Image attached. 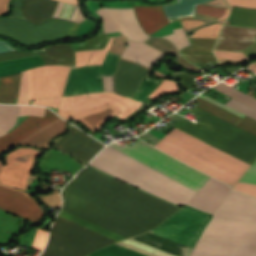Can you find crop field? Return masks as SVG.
I'll use <instances>...</instances> for the list:
<instances>
[{
  "label": "crop field",
  "instance_id": "obj_1",
  "mask_svg": "<svg viewBox=\"0 0 256 256\" xmlns=\"http://www.w3.org/2000/svg\"><path fill=\"white\" fill-rule=\"evenodd\" d=\"M62 196V210L126 238L156 227L178 209L87 167Z\"/></svg>",
  "mask_w": 256,
  "mask_h": 256
},
{
  "label": "crop field",
  "instance_id": "obj_2",
  "mask_svg": "<svg viewBox=\"0 0 256 256\" xmlns=\"http://www.w3.org/2000/svg\"><path fill=\"white\" fill-rule=\"evenodd\" d=\"M89 165L174 204H187L196 193L109 146Z\"/></svg>",
  "mask_w": 256,
  "mask_h": 256
},
{
  "label": "crop field",
  "instance_id": "obj_3",
  "mask_svg": "<svg viewBox=\"0 0 256 256\" xmlns=\"http://www.w3.org/2000/svg\"><path fill=\"white\" fill-rule=\"evenodd\" d=\"M167 154L191 165L211 146L177 129L155 145ZM191 166L227 184H235L250 165L212 147ZM241 178V177H240Z\"/></svg>",
  "mask_w": 256,
  "mask_h": 256
},
{
  "label": "crop field",
  "instance_id": "obj_4",
  "mask_svg": "<svg viewBox=\"0 0 256 256\" xmlns=\"http://www.w3.org/2000/svg\"><path fill=\"white\" fill-rule=\"evenodd\" d=\"M190 112L198 116V123L194 124L182 117L172 126L252 165L256 159V136L197 107Z\"/></svg>",
  "mask_w": 256,
  "mask_h": 256
},
{
  "label": "crop field",
  "instance_id": "obj_5",
  "mask_svg": "<svg viewBox=\"0 0 256 256\" xmlns=\"http://www.w3.org/2000/svg\"><path fill=\"white\" fill-rule=\"evenodd\" d=\"M201 237L256 241V199L230 191Z\"/></svg>",
  "mask_w": 256,
  "mask_h": 256
},
{
  "label": "crop field",
  "instance_id": "obj_6",
  "mask_svg": "<svg viewBox=\"0 0 256 256\" xmlns=\"http://www.w3.org/2000/svg\"><path fill=\"white\" fill-rule=\"evenodd\" d=\"M58 118L46 108L44 117L28 116L11 132L0 137V151L19 143ZM0 208L29 220L38 221L43 217V211L30 195L4 185H0Z\"/></svg>",
  "mask_w": 256,
  "mask_h": 256
},
{
  "label": "crop field",
  "instance_id": "obj_7",
  "mask_svg": "<svg viewBox=\"0 0 256 256\" xmlns=\"http://www.w3.org/2000/svg\"><path fill=\"white\" fill-rule=\"evenodd\" d=\"M114 242L117 241L57 216L40 256H85Z\"/></svg>",
  "mask_w": 256,
  "mask_h": 256
},
{
  "label": "crop field",
  "instance_id": "obj_8",
  "mask_svg": "<svg viewBox=\"0 0 256 256\" xmlns=\"http://www.w3.org/2000/svg\"><path fill=\"white\" fill-rule=\"evenodd\" d=\"M109 146L153 167L171 178L185 166V164L152 148L153 146H149L140 139L131 147L127 144L121 148L114 143H111ZM208 177L209 176L186 165L172 179L198 191Z\"/></svg>",
  "mask_w": 256,
  "mask_h": 256
},
{
  "label": "crop field",
  "instance_id": "obj_9",
  "mask_svg": "<svg viewBox=\"0 0 256 256\" xmlns=\"http://www.w3.org/2000/svg\"><path fill=\"white\" fill-rule=\"evenodd\" d=\"M79 24L62 19H49L32 25L24 19L0 18V33H5L23 44H37L49 39L74 37Z\"/></svg>",
  "mask_w": 256,
  "mask_h": 256
},
{
  "label": "crop field",
  "instance_id": "obj_10",
  "mask_svg": "<svg viewBox=\"0 0 256 256\" xmlns=\"http://www.w3.org/2000/svg\"><path fill=\"white\" fill-rule=\"evenodd\" d=\"M209 217L188 207H182L157 228L149 232L191 248Z\"/></svg>",
  "mask_w": 256,
  "mask_h": 256
},
{
  "label": "crop field",
  "instance_id": "obj_11",
  "mask_svg": "<svg viewBox=\"0 0 256 256\" xmlns=\"http://www.w3.org/2000/svg\"><path fill=\"white\" fill-rule=\"evenodd\" d=\"M208 0H177V4L161 6L166 15L179 13L183 11L193 10L196 4H202ZM136 15L140 21L142 27L148 34H153L158 29L162 28L169 22L184 19L193 18L195 10L183 12L179 14L166 16L160 6L157 7H139L134 6Z\"/></svg>",
  "mask_w": 256,
  "mask_h": 256
},
{
  "label": "crop field",
  "instance_id": "obj_12",
  "mask_svg": "<svg viewBox=\"0 0 256 256\" xmlns=\"http://www.w3.org/2000/svg\"><path fill=\"white\" fill-rule=\"evenodd\" d=\"M69 68L62 65H50L29 69V99L60 96Z\"/></svg>",
  "mask_w": 256,
  "mask_h": 256
},
{
  "label": "crop field",
  "instance_id": "obj_13",
  "mask_svg": "<svg viewBox=\"0 0 256 256\" xmlns=\"http://www.w3.org/2000/svg\"><path fill=\"white\" fill-rule=\"evenodd\" d=\"M107 102L122 112L117 116L123 119L138 109L141 105L140 102L118 96L117 94L90 93L64 97L61 99L59 108L64 111L87 110L101 106Z\"/></svg>",
  "mask_w": 256,
  "mask_h": 256
},
{
  "label": "crop field",
  "instance_id": "obj_14",
  "mask_svg": "<svg viewBox=\"0 0 256 256\" xmlns=\"http://www.w3.org/2000/svg\"><path fill=\"white\" fill-rule=\"evenodd\" d=\"M110 43L111 39L105 50H95L88 65L103 61ZM102 63L72 69L63 96L103 91L101 76H97Z\"/></svg>",
  "mask_w": 256,
  "mask_h": 256
},
{
  "label": "crop field",
  "instance_id": "obj_15",
  "mask_svg": "<svg viewBox=\"0 0 256 256\" xmlns=\"http://www.w3.org/2000/svg\"><path fill=\"white\" fill-rule=\"evenodd\" d=\"M54 0H24L20 9L22 15L33 23H41L50 18L54 11ZM52 17L66 18L80 23L84 17L77 6L58 2Z\"/></svg>",
  "mask_w": 256,
  "mask_h": 256
},
{
  "label": "crop field",
  "instance_id": "obj_16",
  "mask_svg": "<svg viewBox=\"0 0 256 256\" xmlns=\"http://www.w3.org/2000/svg\"><path fill=\"white\" fill-rule=\"evenodd\" d=\"M229 4L256 8V0H227ZM256 43V28L223 25L214 49L240 52Z\"/></svg>",
  "mask_w": 256,
  "mask_h": 256
},
{
  "label": "crop field",
  "instance_id": "obj_17",
  "mask_svg": "<svg viewBox=\"0 0 256 256\" xmlns=\"http://www.w3.org/2000/svg\"><path fill=\"white\" fill-rule=\"evenodd\" d=\"M103 19L104 33L120 32L129 40L143 41L149 36L139 26L134 9L102 8L96 11Z\"/></svg>",
  "mask_w": 256,
  "mask_h": 256
},
{
  "label": "crop field",
  "instance_id": "obj_18",
  "mask_svg": "<svg viewBox=\"0 0 256 256\" xmlns=\"http://www.w3.org/2000/svg\"><path fill=\"white\" fill-rule=\"evenodd\" d=\"M38 151L18 149L6 156V163L0 173V182L25 189L33 161Z\"/></svg>",
  "mask_w": 256,
  "mask_h": 256
},
{
  "label": "crop field",
  "instance_id": "obj_19",
  "mask_svg": "<svg viewBox=\"0 0 256 256\" xmlns=\"http://www.w3.org/2000/svg\"><path fill=\"white\" fill-rule=\"evenodd\" d=\"M91 139L93 138L74 127L68 135L60 140L55 148L70 153L87 163L104 147L103 144L97 141L91 142Z\"/></svg>",
  "mask_w": 256,
  "mask_h": 256
},
{
  "label": "crop field",
  "instance_id": "obj_20",
  "mask_svg": "<svg viewBox=\"0 0 256 256\" xmlns=\"http://www.w3.org/2000/svg\"><path fill=\"white\" fill-rule=\"evenodd\" d=\"M230 189L228 185L210 177L188 205L212 214Z\"/></svg>",
  "mask_w": 256,
  "mask_h": 256
},
{
  "label": "crop field",
  "instance_id": "obj_21",
  "mask_svg": "<svg viewBox=\"0 0 256 256\" xmlns=\"http://www.w3.org/2000/svg\"><path fill=\"white\" fill-rule=\"evenodd\" d=\"M147 73L148 70L140 66L120 60L115 75L117 91L132 98L138 87L139 81L144 78Z\"/></svg>",
  "mask_w": 256,
  "mask_h": 256
},
{
  "label": "crop field",
  "instance_id": "obj_22",
  "mask_svg": "<svg viewBox=\"0 0 256 256\" xmlns=\"http://www.w3.org/2000/svg\"><path fill=\"white\" fill-rule=\"evenodd\" d=\"M191 45L180 54L196 66H215L218 61L212 52L217 39L189 38Z\"/></svg>",
  "mask_w": 256,
  "mask_h": 256
},
{
  "label": "crop field",
  "instance_id": "obj_23",
  "mask_svg": "<svg viewBox=\"0 0 256 256\" xmlns=\"http://www.w3.org/2000/svg\"><path fill=\"white\" fill-rule=\"evenodd\" d=\"M223 240L201 239L196 249L222 251ZM247 242L226 240L224 251L246 253ZM193 254V253H192ZM193 256H221V253L195 251ZM224 256H246L224 253ZM249 256H256V243H251Z\"/></svg>",
  "mask_w": 256,
  "mask_h": 256
},
{
  "label": "crop field",
  "instance_id": "obj_24",
  "mask_svg": "<svg viewBox=\"0 0 256 256\" xmlns=\"http://www.w3.org/2000/svg\"><path fill=\"white\" fill-rule=\"evenodd\" d=\"M57 112L67 119L80 120L93 131L97 130L105 120L120 113L108 103L88 111L64 112L58 109Z\"/></svg>",
  "mask_w": 256,
  "mask_h": 256
},
{
  "label": "crop field",
  "instance_id": "obj_25",
  "mask_svg": "<svg viewBox=\"0 0 256 256\" xmlns=\"http://www.w3.org/2000/svg\"><path fill=\"white\" fill-rule=\"evenodd\" d=\"M38 54L44 65L63 64L75 67V56L70 44H59L32 51Z\"/></svg>",
  "mask_w": 256,
  "mask_h": 256
},
{
  "label": "crop field",
  "instance_id": "obj_26",
  "mask_svg": "<svg viewBox=\"0 0 256 256\" xmlns=\"http://www.w3.org/2000/svg\"><path fill=\"white\" fill-rule=\"evenodd\" d=\"M193 101L197 102L195 106L202 108L254 135H256V121L245 116L243 119L197 97Z\"/></svg>",
  "mask_w": 256,
  "mask_h": 256
},
{
  "label": "crop field",
  "instance_id": "obj_27",
  "mask_svg": "<svg viewBox=\"0 0 256 256\" xmlns=\"http://www.w3.org/2000/svg\"><path fill=\"white\" fill-rule=\"evenodd\" d=\"M127 44L128 46L124 51L122 58L137 61L150 68L162 55H164V53L152 48L144 42L135 43L127 40Z\"/></svg>",
  "mask_w": 256,
  "mask_h": 256
},
{
  "label": "crop field",
  "instance_id": "obj_28",
  "mask_svg": "<svg viewBox=\"0 0 256 256\" xmlns=\"http://www.w3.org/2000/svg\"><path fill=\"white\" fill-rule=\"evenodd\" d=\"M136 241L153 246L177 256H187L190 248L179 245L171 240L146 232L132 237Z\"/></svg>",
  "mask_w": 256,
  "mask_h": 256
},
{
  "label": "crop field",
  "instance_id": "obj_29",
  "mask_svg": "<svg viewBox=\"0 0 256 256\" xmlns=\"http://www.w3.org/2000/svg\"><path fill=\"white\" fill-rule=\"evenodd\" d=\"M65 123V121L59 118L57 121L34 133L20 144H31L43 147L49 142L52 136L64 131Z\"/></svg>",
  "mask_w": 256,
  "mask_h": 256
},
{
  "label": "crop field",
  "instance_id": "obj_30",
  "mask_svg": "<svg viewBox=\"0 0 256 256\" xmlns=\"http://www.w3.org/2000/svg\"><path fill=\"white\" fill-rule=\"evenodd\" d=\"M20 73L0 78V103H13L18 96Z\"/></svg>",
  "mask_w": 256,
  "mask_h": 256
},
{
  "label": "crop field",
  "instance_id": "obj_31",
  "mask_svg": "<svg viewBox=\"0 0 256 256\" xmlns=\"http://www.w3.org/2000/svg\"><path fill=\"white\" fill-rule=\"evenodd\" d=\"M150 45H152L153 47L165 52V53H172L174 55H176L177 58V62L180 63L182 66H184L185 68H187L188 70H190L191 72H199L200 70L196 67H194L193 65L189 64L188 62H186L178 53L176 47L161 38H154L151 37L148 40L144 41Z\"/></svg>",
  "mask_w": 256,
  "mask_h": 256
},
{
  "label": "crop field",
  "instance_id": "obj_32",
  "mask_svg": "<svg viewBox=\"0 0 256 256\" xmlns=\"http://www.w3.org/2000/svg\"><path fill=\"white\" fill-rule=\"evenodd\" d=\"M230 24L237 26L256 27V9H246L234 6L230 19Z\"/></svg>",
  "mask_w": 256,
  "mask_h": 256
},
{
  "label": "crop field",
  "instance_id": "obj_33",
  "mask_svg": "<svg viewBox=\"0 0 256 256\" xmlns=\"http://www.w3.org/2000/svg\"><path fill=\"white\" fill-rule=\"evenodd\" d=\"M17 116H20V106L0 105V125L6 132L15 125Z\"/></svg>",
  "mask_w": 256,
  "mask_h": 256
},
{
  "label": "crop field",
  "instance_id": "obj_34",
  "mask_svg": "<svg viewBox=\"0 0 256 256\" xmlns=\"http://www.w3.org/2000/svg\"><path fill=\"white\" fill-rule=\"evenodd\" d=\"M88 256H146L120 245L114 244L91 253Z\"/></svg>",
  "mask_w": 256,
  "mask_h": 256
},
{
  "label": "crop field",
  "instance_id": "obj_35",
  "mask_svg": "<svg viewBox=\"0 0 256 256\" xmlns=\"http://www.w3.org/2000/svg\"><path fill=\"white\" fill-rule=\"evenodd\" d=\"M59 216H62V217H64V218H67V219H70V220H72V221H75V222H77V223H79V224H81V225H83V226H85V227H87V228H89V229H92V230H94V231H96V232H99V233H101V234H103V235H106V236H108V237H110V238H113V239H115V240H117V241H120V240H122V239H125L124 237H122V236H120V235H117V234H115V233H113V232H110V231H108V230H106V229H104V228H101V227H99V226H97V225H95V224H93V223H91V222H88V221H86V220H83V219H81V218H79V217H76V216H74V215H71V214H69V213H67V212H64V211H60V213H59Z\"/></svg>",
  "mask_w": 256,
  "mask_h": 256
},
{
  "label": "crop field",
  "instance_id": "obj_36",
  "mask_svg": "<svg viewBox=\"0 0 256 256\" xmlns=\"http://www.w3.org/2000/svg\"><path fill=\"white\" fill-rule=\"evenodd\" d=\"M213 88L256 109V99L240 92L237 89L231 88L222 82Z\"/></svg>",
  "mask_w": 256,
  "mask_h": 256
},
{
  "label": "crop field",
  "instance_id": "obj_37",
  "mask_svg": "<svg viewBox=\"0 0 256 256\" xmlns=\"http://www.w3.org/2000/svg\"><path fill=\"white\" fill-rule=\"evenodd\" d=\"M117 244H120L122 246L131 248L133 250L139 251L141 253H144L150 256H173L171 254L165 253L163 251H160L155 248L149 247L147 245L141 244L139 242L133 241L131 239L124 240Z\"/></svg>",
  "mask_w": 256,
  "mask_h": 256
},
{
  "label": "crop field",
  "instance_id": "obj_38",
  "mask_svg": "<svg viewBox=\"0 0 256 256\" xmlns=\"http://www.w3.org/2000/svg\"><path fill=\"white\" fill-rule=\"evenodd\" d=\"M162 80L151 79L149 75H147L140 83V88L134 95V99L139 101H144L147 96H149L153 90L160 84Z\"/></svg>",
  "mask_w": 256,
  "mask_h": 256
},
{
  "label": "crop field",
  "instance_id": "obj_39",
  "mask_svg": "<svg viewBox=\"0 0 256 256\" xmlns=\"http://www.w3.org/2000/svg\"><path fill=\"white\" fill-rule=\"evenodd\" d=\"M108 40H109V37H107L106 35L100 32L96 37H94L90 41L79 43V44L73 45L72 47L74 51L89 50V49H104Z\"/></svg>",
  "mask_w": 256,
  "mask_h": 256
},
{
  "label": "crop field",
  "instance_id": "obj_40",
  "mask_svg": "<svg viewBox=\"0 0 256 256\" xmlns=\"http://www.w3.org/2000/svg\"><path fill=\"white\" fill-rule=\"evenodd\" d=\"M221 24H213L206 27H203L194 32L193 35L188 37H203V38H217Z\"/></svg>",
  "mask_w": 256,
  "mask_h": 256
},
{
  "label": "crop field",
  "instance_id": "obj_41",
  "mask_svg": "<svg viewBox=\"0 0 256 256\" xmlns=\"http://www.w3.org/2000/svg\"><path fill=\"white\" fill-rule=\"evenodd\" d=\"M119 59L118 55L107 54L103 66L100 70L99 75H110L113 76L115 68L117 66V61Z\"/></svg>",
  "mask_w": 256,
  "mask_h": 256
},
{
  "label": "crop field",
  "instance_id": "obj_42",
  "mask_svg": "<svg viewBox=\"0 0 256 256\" xmlns=\"http://www.w3.org/2000/svg\"><path fill=\"white\" fill-rule=\"evenodd\" d=\"M174 33L163 38L171 40L177 46L178 50L190 44L182 28L175 30Z\"/></svg>",
  "mask_w": 256,
  "mask_h": 256
},
{
  "label": "crop field",
  "instance_id": "obj_43",
  "mask_svg": "<svg viewBox=\"0 0 256 256\" xmlns=\"http://www.w3.org/2000/svg\"><path fill=\"white\" fill-rule=\"evenodd\" d=\"M226 105L256 120V110L252 109L251 107L234 99H231L229 102L226 103Z\"/></svg>",
  "mask_w": 256,
  "mask_h": 256
},
{
  "label": "crop field",
  "instance_id": "obj_44",
  "mask_svg": "<svg viewBox=\"0 0 256 256\" xmlns=\"http://www.w3.org/2000/svg\"><path fill=\"white\" fill-rule=\"evenodd\" d=\"M17 104H28L27 70L22 72Z\"/></svg>",
  "mask_w": 256,
  "mask_h": 256
},
{
  "label": "crop field",
  "instance_id": "obj_45",
  "mask_svg": "<svg viewBox=\"0 0 256 256\" xmlns=\"http://www.w3.org/2000/svg\"><path fill=\"white\" fill-rule=\"evenodd\" d=\"M177 89L178 87L176 83L164 80L149 97L156 99L159 95L163 93L172 92Z\"/></svg>",
  "mask_w": 256,
  "mask_h": 256
},
{
  "label": "crop field",
  "instance_id": "obj_46",
  "mask_svg": "<svg viewBox=\"0 0 256 256\" xmlns=\"http://www.w3.org/2000/svg\"><path fill=\"white\" fill-rule=\"evenodd\" d=\"M224 11L225 9H222V8L210 7V6H204V5H197L196 7V13L211 15L217 18H220L223 15Z\"/></svg>",
  "mask_w": 256,
  "mask_h": 256
},
{
  "label": "crop field",
  "instance_id": "obj_47",
  "mask_svg": "<svg viewBox=\"0 0 256 256\" xmlns=\"http://www.w3.org/2000/svg\"><path fill=\"white\" fill-rule=\"evenodd\" d=\"M30 56H36V54L32 52H19V51L0 53V61H6V60H12V59H18V58H24V57H30Z\"/></svg>",
  "mask_w": 256,
  "mask_h": 256
},
{
  "label": "crop field",
  "instance_id": "obj_48",
  "mask_svg": "<svg viewBox=\"0 0 256 256\" xmlns=\"http://www.w3.org/2000/svg\"><path fill=\"white\" fill-rule=\"evenodd\" d=\"M173 76L178 78L183 83L186 90L193 87L194 85H196L193 76H191L189 74L180 72V73H177V74H173Z\"/></svg>",
  "mask_w": 256,
  "mask_h": 256
},
{
  "label": "crop field",
  "instance_id": "obj_49",
  "mask_svg": "<svg viewBox=\"0 0 256 256\" xmlns=\"http://www.w3.org/2000/svg\"><path fill=\"white\" fill-rule=\"evenodd\" d=\"M233 189L256 197V185L238 182Z\"/></svg>",
  "mask_w": 256,
  "mask_h": 256
},
{
  "label": "crop field",
  "instance_id": "obj_50",
  "mask_svg": "<svg viewBox=\"0 0 256 256\" xmlns=\"http://www.w3.org/2000/svg\"><path fill=\"white\" fill-rule=\"evenodd\" d=\"M44 108L35 106H21V116L24 115H39L43 116Z\"/></svg>",
  "mask_w": 256,
  "mask_h": 256
},
{
  "label": "crop field",
  "instance_id": "obj_51",
  "mask_svg": "<svg viewBox=\"0 0 256 256\" xmlns=\"http://www.w3.org/2000/svg\"><path fill=\"white\" fill-rule=\"evenodd\" d=\"M217 58H223V59H233V60H242L246 59V57L240 52V53H233V52H223V51H216L214 50Z\"/></svg>",
  "mask_w": 256,
  "mask_h": 256
},
{
  "label": "crop field",
  "instance_id": "obj_52",
  "mask_svg": "<svg viewBox=\"0 0 256 256\" xmlns=\"http://www.w3.org/2000/svg\"><path fill=\"white\" fill-rule=\"evenodd\" d=\"M240 181L256 184V162L250 167Z\"/></svg>",
  "mask_w": 256,
  "mask_h": 256
},
{
  "label": "crop field",
  "instance_id": "obj_53",
  "mask_svg": "<svg viewBox=\"0 0 256 256\" xmlns=\"http://www.w3.org/2000/svg\"><path fill=\"white\" fill-rule=\"evenodd\" d=\"M92 51H81L75 52L76 55V67L79 65L86 64Z\"/></svg>",
  "mask_w": 256,
  "mask_h": 256
},
{
  "label": "crop field",
  "instance_id": "obj_54",
  "mask_svg": "<svg viewBox=\"0 0 256 256\" xmlns=\"http://www.w3.org/2000/svg\"><path fill=\"white\" fill-rule=\"evenodd\" d=\"M199 97H201V98H203V99H205V100H207V101H209V102H211V103H213V104H215V105H217V106H219V107H221V108H223V109H225V110H227V111H229V112H231V113H233V114H235V115H237L241 118H243V116H244L243 114H241V113H239V112H237V111H235V110H233V109H231V108H229V107H227V106H225V105H223V104H221V103H219V102H217V101H215V100H213V99H211V98H209V97H207L203 94L199 95Z\"/></svg>",
  "mask_w": 256,
  "mask_h": 256
},
{
  "label": "crop field",
  "instance_id": "obj_55",
  "mask_svg": "<svg viewBox=\"0 0 256 256\" xmlns=\"http://www.w3.org/2000/svg\"><path fill=\"white\" fill-rule=\"evenodd\" d=\"M60 98L56 99H46V100H34V105H42V106H51V107H58Z\"/></svg>",
  "mask_w": 256,
  "mask_h": 256
},
{
  "label": "crop field",
  "instance_id": "obj_56",
  "mask_svg": "<svg viewBox=\"0 0 256 256\" xmlns=\"http://www.w3.org/2000/svg\"><path fill=\"white\" fill-rule=\"evenodd\" d=\"M102 78H103V84H104V91H112L113 92L112 77L102 76Z\"/></svg>",
  "mask_w": 256,
  "mask_h": 256
},
{
  "label": "crop field",
  "instance_id": "obj_57",
  "mask_svg": "<svg viewBox=\"0 0 256 256\" xmlns=\"http://www.w3.org/2000/svg\"><path fill=\"white\" fill-rule=\"evenodd\" d=\"M21 0H14L13 2V13L9 16L12 17H20L23 18L22 15L20 14V12L18 11L19 5H20Z\"/></svg>",
  "mask_w": 256,
  "mask_h": 256
},
{
  "label": "crop field",
  "instance_id": "obj_58",
  "mask_svg": "<svg viewBox=\"0 0 256 256\" xmlns=\"http://www.w3.org/2000/svg\"><path fill=\"white\" fill-rule=\"evenodd\" d=\"M181 23H182L184 29H187V28L203 25L205 22H202V21H182Z\"/></svg>",
  "mask_w": 256,
  "mask_h": 256
},
{
  "label": "crop field",
  "instance_id": "obj_59",
  "mask_svg": "<svg viewBox=\"0 0 256 256\" xmlns=\"http://www.w3.org/2000/svg\"><path fill=\"white\" fill-rule=\"evenodd\" d=\"M9 0H0V14H6Z\"/></svg>",
  "mask_w": 256,
  "mask_h": 256
},
{
  "label": "crop field",
  "instance_id": "obj_60",
  "mask_svg": "<svg viewBox=\"0 0 256 256\" xmlns=\"http://www.w3.org/2000/svg\"><path fill=\"white\" fill-rule=\"evenodd\" d=\"M15 50L13 47H11L9 44L0 41V52H6V51H13Z\"/></svg>",
  "mask_w": 256,
  "mask_h": 256
},
{
  "label": "crop field",
  "instance_id": "obj_61",
  "mask_svg": "<svg viewBox=\"0 0 256 256\" xmlns=\"http://www.w3.org/2000/svg\"><path fill=\"white\" fill-rule=\"evenodd\" d=\"M247 67L250 68L253 72L256 73V65L251 64V65H249V66H247Z\"/></svg>",
  "mask_w": 256,
  "mask_h": 256
},
{
  "label": "crop field",
  "instance_id": "obj_62",
  "mask_svg": "<svg viewBox=\"0 0 256 256\" xmlns=\"http://www.w3.org/2000/svg\"><path fill=\"white\" fill-rule=\"evenodd\" d=\"M60 1L68 2V3H72V4H77V0H60Z\"/></svg>",
  "mask_w": 256,
  "mask_h": 256
},
{
  "label": "crop field",
  "instance_id": "obj_63",
  "mask_svg": "<svg viewBox=\"0 0 256 256\" xmlns=\"http://www.w3.org/2000/svg\"><path fill=\"white\" fill-rule=\"evenodd\" d=\"M254 98H256V90H255V93H254V96H253Z\"/></svg>",
  "mask_w": 256,
  "mask_h": 256
}]
</instances>
